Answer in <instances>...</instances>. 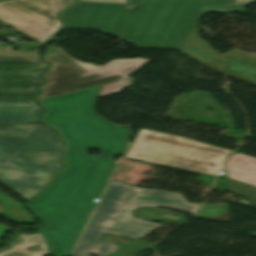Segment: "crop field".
Listing matches in <instances>:
<instances>
[{
	"label": "crop field",
	"instance_id": "412701ff",
	"mask_svg": "<svg viewBox=\"0 0 256 256\" xmlns=\"http://www.w3.org/2000/svg\"><path fill=\"white\" fill-rule=\"evenodd\" d=\"M230 152L141 128L126 157L215 176Z\"/></svg>",
	"mask_w": 256,
	"mask_h": 256
},
{
	"label": "crop field",
	"instance_id": "d1516ede",
	"mask_svg": "<svg viewBox=\"0 0 256 256\" xmlns=\"http://www.w3.org/2000/svg\"><path fill=\"white\" fill-rule=\"evenodd\" d=\"M42 114L34 99H0V123H39ZM17 151L0 139V166Z\"/></svg>",
	"mask_w": 256,
	"mask_h": 256
},
{
	"label": "crop field",
	"instance_id": "4a817a6b",
	"mask_svg": "<svg viewBox=\"0 0 256 256\" xmlns=\"http://www.w3.org/2000/svg\"><path fill=\"white\" fill-rule=\"evenodd\" d=\"M129 82H130V79L126 78V79H124L123 81H120V82L105 84V85H103L99 95L103 96V95L118 92L122 88H124L126 85H128Z\"/></svg>",
	"mask_w": 256,
	"mask_h": 256
},
{
	"label": "crop field",
	"instance_id": "5a996713",
	"mask_svg": "<svg viewBox=\"0 0 256 256\" xmlns=\"http://www.w3.org/2000/svg\"><path fill=\"white\" fill-rule=\"evenodd\" d=\"M125 4L77 2L60 14L67 28L96 29L118 36Z\"/></svg>",
	"mask_w": 256,
	"mask_h": 256
},
{
	"label": "crop field",
	"instance_id": "d9b57169",
	"mask_svg": "<svg viewBox=\"0 0 256 256\" xmlns=\"http://www.w3.org/2000/svg\"><path fill=\"white\" fill-rule=\"evenodd\" d=\"M195 217L205 220L228 222L227 204H204Z\"/></svg>",
	"mask_w": 256,
	"mask_h": 256
},
{
	"label": "crop field",
	"instance_id": "d8731c3e",
	"mask_svg": "<svg viewBox=\"0 0 256 256\" xmlns=\"http://www.w3.org/2000/svg\"><path fill=\"white\" fill-rule=\"evenodd\" d=\"M0 138L51 172L62 169L63 141L43 124H0Z\"/></svg>",
	"mask_w": 256,
	"mask_h": 256
},
{
	"label": "crop field",
	"instance_id": "bc2a9ffb",
	"mask_svg": "<svg viewBox=\"0 0 256 256\" xmlns=\"http://www.w3.org/2000/svg\"><path fill=\"white\" fill-rule=\"evenodd\" d=\"M81 2L126 3L127 0H78Z\"/></svg>",
	"mask_w": 256,
	"mask_h": 256
},
{
	"label": "crop field",
	"instance_id": "dd49c442",
	"mask_svg": "<svg viewBox=\"0 0 256 256\" xmlns=\"http://www.w3.org/2000/svg\"><path fill=\"white\" fill-rule=\"evenodd\" d=\"M209 11L228 12L245 9L231 6H210L201 8L188 35L186 36L180 51L200 62L204 66L215 70L228 77L240 79L256 86V55L239 51L226 52L224 55H217L209 44L197 37L196 24L201 14Z\"/></svg>",
	"mask_w": 256,
	"mask_h": 256
},
{
	"label": "crop field",
	"instance_id": "92a150f3",
	"mask_svg": "<svg viewBox=\"0 0 256 256\" xmlns=\"http://www.w3.org/2000/svg\"><path fill=\"white\" fill-rule=\"evenodd\" d=\"M126 11H127V9H126ZM125 15H126V13H125ZM124 19H125V16H124ZM124 19H123V22H124ZM122 26H123V23H122ZM122 26H121V29H122ZM121 29H120V32H121ZM119 36H120V33H119Z\"/></svg>",
	"mask_w": 256,
	"mask_h": 256
},
{
	"label": "crop field",
	"instance_id": "dafd665d",
	"mask_svg": "<svg viewBox=\"0 0 256 256\" xmlns=\"http://www.w3.org/2000/svg\"><path fill=\"white\" fill-rule=\"evenodd\" d=\"M0 24H4V23H2V22L0 21Z\"/></svg>",
	"mask_w": 256,
	"mask_h": 256
},
{
	"label": "crop field",
	"instance_id": "28ad6ade",
	"mask_svg": "<svg viewBox=\"0 0 256 256\" xmlns=\"http://www.w3.org/2000/svg\"><path fill=\"white\" fill-rule=\"evenodd\" d=\"M48 66H0V97L35 98L36 87L44 81L39 75Z\"/></svg>",
	"mask_w": 256,
	"mask_h": 256
},
{
	"label": "crop field",
	"instance_id": "8a807250",
	"mask_svg": "<svg viewBox=\"0 0 256 256\" xmlns=\"http://www.w3.org/2000/svg\"><path fill=\"white\" fill-rule=\"evenodd\" d=\"M101 85L66 93L41 102L46 109L42 121L59 130L67 141L66 167L29 206L44 222L39 229L53 256L70 254L81 235L115 163L124 153L128 130L94 113ZM102 151L100 157L86 153Z\"/></svg>",
	"mask_w": 256,
	"mask_h": 256
},
{
	"label": "crop field",
	"instance_id": "cbeb9de0",
	"mask_svg": "<svg viewBox=\"0 0 256 256\" xmlns=\"http://www.w3.org/2000/svg\"><path fill=\"white\" fill-rule=\"evenodd\" d=\"M227 177L256 186V158L234 153L226 162Z\"/></svg>",
	"mask_w": 256,
	"mask_h": 256
},
{
	"label": "crop field",
	"instance_id": "f4fd0767",
	"mask_svg": "<svg viewBox=\"0 0 256 256\" xmlns=\"http://www.w3.org/2000/svg\"><path fill=\"white\" fill-rule=\"evenodd\" d=\"M43 59L52 68L43 75L47 83L40 88L43 94L38 99L122 80L148 62L142 58L114 59L105 66H94L80 63L56 47L49 48Z\"/></svg>",
	"mask_w": 256,
	"mask_h": 256
},
{
	"label": "crop field",
	"instance_id": "733c2abd",
	"mask_svg": "<svg viewBox=\"0 0 256 256\" xmlns=\"http://www.w3.org/2000/svg\"><path fill=\"white\" fill-rule=\"evenodd\" d=\"M228 191L234 192L256 205V188L227 179Z\"/></svg>",
	"mask_w": 256,
	"mask_h": 256
},
{
	"label": "crop field",
	"instance_id": "3316defc",
	"mask_svg": "<svg viewBox=\"0 0 256 256\" xmlns=\"http://www.w3.org/2000/svg\"><path fill=\"white\" fill-rule=\"evenodd\" d=\"M53 176L19 152L0 167V183L27 200Z\"/></svg>",
	"mask_w": 256,
	"mask_h": 256
},
{
	"label": "crop field",
	"instance_id": "34b2d1b8",
	"mask_svg": "<svg viewBox=\"0 0 256 256\" xmlns=\"http://www.w3.org/2000/svg\"><path fill=\"white\" fill-rule=\"evenodd\" d=\"M231 0H129L120 38L140 47L179 49L202 6Z\"/></svg>",
	"mask_w": 256,
	"mask_h": 256
},
{
	"label": "crop field",
	"instance_id": "ac0d7876",
	"mask_svg": "<svg viewBox=\"0 0 256 256\" xmlns=\"http://www.w3.org/2000/svg\"><path fill=\"white\" fill-rule=\"evenodd\" d=\"M140 206H162L195 213L200 204L186 202L180 194L135 188L111 181L72 256H89L86 253L106 256L117 250L119 246L100 240L102 233L142 238L159 227L160 224L141 221L130 214L132 209Z\"/></svg>",
	"mask_w": 256,
	"mask_h": 256
},
{
	"label": "crop field",
	"instance_id": "5142ce71",
	"mask_svg": "<svg viewBox=\"0 0 256 256\" xmlns=\"http://www.w3.org/2000/svg\"><path fill=\"white\" fill-rule=\"evenodd\" d=\"M38 59V51H12L10 46L0 47V65H48Z\"/></svg>",
	"mask_w": 256,
	"mask_h": 256
},
{
	"label": "crop field",
	"instance_id": "22f410ed",
	"mask_svg": "<svg viewBox=\"0 0 256 256\" xmlns=\"http://www.w3.org/2000/svg\"><path fill=\"white\" fill-rule=\"evenodd\" d=\"M10 248L0 251V256H42L47 253L41 234H19L8 242Z\"/></svg>",
	"mask_w": 256,
	"mask_h": 256
},
{
	"label": "crop field",
	"instance_id": "e52e79f7",
	"mask_svg": "<svg viewBox=\"0 0 256 256\" xmlns=\"http://www.w3.org/2000/svg\"><path fill=\"white\" fill-rule=\"evenodd\" d=\"M73 2L74 0L0 1V20L43 43L62 27L56 14Z\"/></svg>",
	"mask_w": 256,
	"mask_h": 256
},
{
	"label": "crop field",
	"instance_id": "214f88e0",
	"mask_svg": "<svg viewBox=\"0 0 256 256\" xmlns=\"http://www.w3.org/2000/svg\"><path fill=\"white\" fill-rule=\"evenodd\" d=\"M255 1L256 0H232L231 5L243 7L247 4H249V2H255Z\"/></svg>",
	"mask_w": 256,
	"mask_h": 256
}]
</instances>
